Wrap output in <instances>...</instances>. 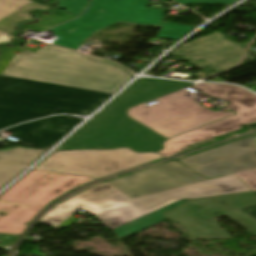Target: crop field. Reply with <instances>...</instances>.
Returning a JSON list of instances; mask_svg holds the SVG:
<instances>
[{"instance_id": "crop-field-1", "label": "crop field", "mask_w": 256, "mask_h": 256, "mask_svg": "<svg viewBox=\"0 0 256 256\" xmlns=\"http://www.w3.org/2000/svg\"><path fill=\"white\" fill-rule=\"evenodd\" d=\"M247 191L248 188L235 175L134 199L128 198L105 183L56 205L40 220L44 224L57 226L80 207L95 214L109 228L114 229L181 198H200Z\"/></svg>"}, {"instance_id": "crop-field-2", "label": "crop field", "mask_w": 256, "mask_h": 256, "mask_svg": "<svg viewBox=\"0 0 256 256\" xmlns=\"http://www.w3.org/2000/svg\"><path fill=\"white\" fill-rule=\"evenodd\" d=\"M136 82V81H135ZM194 83L139 79L113 100L60 150L130 147L136 152L162 149L167 139L126 115L130 107L185 88Z\"/></svg>"}, {"instance_id": "crop-field-3", "label": "crop field", "mask_w": 256, "mask_h": 256, "mask_svg": "<svg viewBox=\"0 0 256 256\" xmlns=\"http://www.w3.org/2000/svg\"><path fill=\"white\" fill-rule=\"evenodd\" d=\"M1 75L111 94L133 76L110 61L49 45L13 54Z\"/></svg>"}, {"instance_id": "crop-field-4", "label": "crop field", "mask_w": 256, "mask_h": 256, "mask_svg": "<svg viewBox=\"0 0 256 256\" xmlns=\"http://www.w3.org/2000/svg\"><path fill=\"white\" fill-rule=\"evenodd\" d=\"M109 96L0 75V129L51 113L86 115Z\"/></svg>"}, {"instance_id": "crop-field-5", "label": "crop field", "mask_w": 256, "mask_h": 256, "mask_svg": "<svg viewBox=\"0 0 256 256\" xmlns=\"http://www.w3.org/2000/svg\"><path fill=\"white\" fill-rule=\"evenodd\" d=\"M93 179L33 169L0 195V233L21 235L51 200Z\"/></svg>"}, {"instance_id": "crop-field-6", "label": "crop field", "mask_w": 256, "mask_h": 256, "mask_svg": "<svg viewBox=\"0 0 256 256\" xmlns=\"http://www.w3.org/2000/svg\"><path fill=\"white\" fill-rule=\"evenodd\" d=\"M256 204L252 192L191 200L163 215L177 221L190 233L192 239H233L220 229L214 218L227 216L256 235V220L239 209Z\"/></svg>"}, {"instance_id": "crop-field-7", "label": "crop field", "mask_w": 256, "mask_h": 256, "mask_svg": "<svg viewBox=\"0 0 256 256\" xmlns=\"http://www.w3.org/2000/svg\"><path fill=\"white\" fill-rule=\"evenodd\" d=\"M148 2L149 0H93L81 18L49 30L62 35L52 44L80 51L82 41L91 35L85 28L94 25L108 26L119 21L160 27L164 8H146Z\"/></svg>"}, {"instance_id": "crop-field-8", "label": "crop field", "mask_w": 256, "mask_h": 256, "mask_svg": "<svg viewBox=\"0 0 256 256\" xmlns=\"http://www.w3.org/2000/svg\"><path fill=\"white\" fill-rule=\"evenodd\" d=\"M127 115L169 138L231 114L202 108L193 101L192 93L184 89L159 99L156 104L130 108Z\"/></svg>"}, {"instance_id": "crop-field-9", "label": "crop field", "mask_w": 256, "mask_h": 256, "mask_svg": "<svg viewBox=\"0 0 256 256\" xmlns=\"http://www.w3.org/2000/svg\"><path fill=\"white\" fill-rule=\"evenodd\" d=\"M215 86L219 87L220 89L215 91L202 83L197 84L193 88L213 99L221 98L229 102L230 104L226 107L234 110L238 114L183 135L171 138L164 143V150L160 151L159 153L165 157H168L181 151L188 145L235 131L240 129L242 124L256 122V95L236 86L220 84H215Z\"/></svg>"}, {"instance_id": "crop-field-10", "label": "crop field", "mask_w": 256, "mask_h": 256, "mask_svg": "<svg viewBox=\"0 0 256 256\" xmlns=\"http://www.w3.org/2000/svg\"><path fill=\"white\" fill-rule=\"evenodd\" d=\"M159 158L162 156L157 153L138 154L125 148L110 151H59L36 168L100 178Z\"/></svg>"}, {"instance_id": "crop-field-11", "label": "crop field", "mask_w": 256, "mask_h": 256, "mask_svg": "<svg viewBox=\"0 0 256 256\" xmlns=\"http://www.w3.org/2000/svg\"><path fill=\"white\" fill-rule=\"evenodd\" d=\"M197 173L214 178L256 167L254 138L244 139L179 160Z\"/></svg>"}, {"instance_id": "crop-field-12", "label": "crop field", "mask_w": 256, "mask_h": 256, "mask_svg": "<svg viewBox=\"0 0 256 256\" xmlns=\"http://www.w3.org/2000/svg\"><path fill=\"white\" fill-rule=\"evenodd\" d=\"M203 180L177 161L153 167L108 182L130 198L143 196Z\"/></svg>"}, {"instance_id": "crop-field-13", "label": "crop field", "mask_w": 256, "mask_h": 256, "mask_svg": "<svg viewBox=\"0 0 256 256\" xmlns=\"http://www.w3.org/2000/svg\"><path fill=\"white\" fill-rule=\"evenodd\" d=\"M81 119L55 116L5 130L14 133L12 137L30 143L36 148H46L59 139ZM73 128V127H72Z\"/></svg>"}, {"instance_id": "crop-field-14", "label": "crop field", "mask_w": 256, "mask_h": 256, "mask_svg": "<svg viewBox=\"0 0 256 256\" xmlns=\"http://www.w3.org/2000/svg\"><path fill=\"white\" fill-rule=\"evenodd\" d=\"M223 37L224 35L215 32L181 47L225 70L239 62L244 49L224 40Z\"/></svg>"}, {"instance_id": "crop-field-15", "label": "crop field", "mask_w": 256, "mask_h": 256, "mask_svg": "<svg viewBox=\"0 0 256 256\" xmlns=\"http://www.w3.org/2000/svg\"><path fill=\"white\" fill-rule=\"evenodd\" d=\"M48 8L29 0H0V30L10 34L15 32L16 22L31 20V10L46 11Z\"/></svg>"}, {"instance_id": "crop-field-16", "label": "crop field", "mask_w": 256, "mask_h": 256, "mask_svg": "<svg viewBox=\"0 0 256 256\" xmlns=\"http://www.w3.org/2000/svg\"><path fill=\"white\" fill-rule=\"evenodd\" d=\"M42 151L19 148L0 152V187L36 159Z\"/></svg>"}, {"instance_id": "crop-field-17", "label": "crop field", "mask_w": 256, "mask_h": 256, "mask_svg": "<svg viewBox=\"0 0 256 256\" xmlns=\"http://www.w3.org/2000/svg\"><path fill=\"white\" fill-rule=\"evenodd\" d=\"M189 200H191V199H181V200H179L175 203H172L166 207H163V208L153 211L147 215H144L140 218H137L131 222H128V223L114 229L113 231L119 239H122L130 234H133L143 228H146L154 223H157V222L165 219V217L162 215V213H164L176 206H179Z\"/></svg>"}, {"instance_id": "crop-field-18", "label": "crop field", "mask_w": 256, "mask_h": 256, "mask_svg": "<svg viewBox=\"0 0 256 256\" xmlns=\"http://www.w3.org/2000/svg\"><path fill=\"white\" fill-rule=\"evenodd\" d=\"M36 15L40 19L38 23L23 25L21 27L41 32L57 24H60L62 22H65L67 20L77 17V16H73V15L62 13L55 10H53L50 15H43L39 13H36Z\"/></svg>"}, {"instance_id": "crop-field-19", "label": "crop field", "mask_w": 256, "mask_h": 256, "mask_svg": "<svg viewBox=\"0 0 256 256\" xmlns=\"http://www.w3.org/2000/svg\"><path fill=\"white\" fill-rule=\"evenodd\" d=\"M192 28V26L163 22L156 37L177 40Z\"/></svg>"}, {"instance_id": "crop-field-20", "label": "crop field", "mask_w": 256, "mask_h": 256, "mask_svg": "<svg viewBox=\"0 0 256 256\" xmlns=\"http://www.w3.org/2000/svg\"><path fill=\"white\" fill-rule=\"evenodd\" d=\"M90 0H58L56 7L64 9L69 13L80 15Z\"/></svg>"}, {"instance_id": "crop-field-21", "label": "crop field", "mask_w": 256, "mask_h": 256, "mask_svg": "<svg viewBox=\"0 0 256 256\" xmlns=\"http://www.w3.org/2000/svg\"><path fill=\"white\" fill-rule=\"evenodd\" d=\"M22 48L21 47H7V46H0V74L4 67L6 66L7 62L11 58L12 54L14 51L21 52Z\"/></svg>"}, {"instance_id": "crop-field-22", "label": "crop field", "mask_w": 256, "mask_h": 256, "mask_svg": "<svg viewBox=\"0 0 256 256\" xmlns=\"http://www.w3.org/2000/svg\"><path fill=\"white\" fill-rule=\"evenodd\" d=\"M236 175L252 190H256V169L236 173Z\"/></svg>"}, {"instance_id": "crop-field-23", "label": "crop field", "mask_w": 256, "mask_h": 256, "mask_svg": "<svg viewBox=\"0 0 256 256\" xmlns=\"http://www.w3.org/2000/svg\"><path fill=\"white\" fill-rule=\"evenodd\" d=\"M179 3H195V4H232L238 0H175Z\"/></svg>"}, {"instance_id": "crop-field-24", "label": "crop field", "mask_w": 256, "mask_h": 256, "mask_svg": "<svg viewBox=\"0 0 256 256\" xmlns=\"http://www.w3.org/2000/svg\"><path fill=\"white\" fill-rule=\"evenodd\" d=\"M256 194V192H255ZM245 212H247L248 214H250L251 216H253L254 218H256V205L255 206H252V207H249V208H246V209H243Z\"/></svg>"}, {"instance_id": "crop-field-25", "label": "crop field", "mask_w": 256, "mask_h": 256, "mask_svg": "<svg viewBox=\"0 0 256 256\" xmlns=\"http://www.w3.org/2000/svg\"><path fill=\"white\" fill-rule=\"evenodd\" d=\"M102 28H104V27H102V26H95V27H89L86 30L92 34V33L96 32V31H98V30H100Z\"/></svg>"}, {"instance_id": "crop-field-26", "label": "crop field", "mask_w": 256, "mask_h": 256, "mask_svg": "<svg viewBox=\"0 0 256 256\" xmlns=\"http://www.w3.org/2000/svg\"><path fill=\"white\" fill-rule=\"evenodd\" d=\"M33 1H36V2H38V3H41V4L46 5V6L49 7V5H48V0H33Z\"/></svg>"}, {"instance_id": "crop-field-27", "label": "crop field", "mask_w": 256, "mask_h": 256, "mask_svg": "<svg viewBox=\"0 0 256 256\" xmlns=\"http://www.w3.org/2000/svg\"><path fill=\"white\" fill-rule=\"evenodd\" d=\"M1 34V33H0Z\"/></svg>"}]
</instances>
